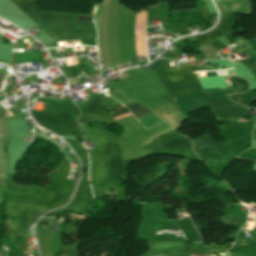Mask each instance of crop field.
I'll use <instances>...</instances> for the list:
<instances>
[{"instance_id": "crop-field-5", "label": "crop field", "mask_w": 256, "mask_h": 256, "mask_svg": "<svg viewBox=\"0 0 256 256\" xmlns=\"http://www.w3.org/2000/svg\"><path fill=\"white\" fill-rule=\"evenodd\" d=\"M121 105H122V104H121ZM121 105L112 108V109L115 111V112H114L115 114H113L112 117L118 116V115H121V114H125V113H129V112H130V111H128L125 107H122ZM127 116H131V113L125 114V115H121V116H118V117H114V120L120 119V118H124V117H127Z\"/></svg>"}, {"instance_id": "crop-field-4", "label": "crop field", "mask_w": 256, "mask_h": 256, "mask_svg": "<svg viewBox=\"0 0 256 256\" xmlns=\"http://www.w3.org/2000/svg\"><path fill=\"white\" fill-rule=\"evenodd\" d=\"M225 11L248 12L251 13L252 7L247 0H216Z\"/></svg>"}, {"instance_id": "crop-field-1", "label": "crop field", "mask_w": 256, "mask_h": 256, "mask_svg": "<svg viewBox=\"0 0 256 256\" xmlns=\"http://www.w3.org/2000/svg\"><path fill=\"white\" fill-rule=\"evenodd\" d=\"M98 10L94 16L96 26L98 29V50L100 55V63H104L102 57V47H101V32H100V14H101V5L97 7ZM145 23H146V10L136 13L135 20V45L138 57H147V49L145 42Z\"/></svg>"}, {"instance_id": "crop-field-8", "label": "crop field", "mask_w": 256, "mask_h": 256, "mask_svg": "<svg viewBox=\"0 0 256 256\" xmlns=\"http://www.w3.org/2000/svg\"><path fill=\"white\" fill-rule=\"evenodd\" d=\"M191 256H201V255H194V254H191Z\"/></svg>"}, {"instance_id": "crop-field-3", "label": "crop field", "mask_w": 256, "mask_h": 256, "mask_svg": "<svg viewBox=\"0 0 256 256\" xmlns=\"http://www.w3.org/2000/svg\"><path fill=\"white\" fill-rule=\"evenodd\" d=\"M152 111L156 113L160 118L167 121L175 130L180 126L182 122V116L169 103L159 106Z\"/></svg>"}, {"instance_id": "crop-field-2", "label": "crop field", "mask_w": 256, "mask_h": 256, "mask_svg": "<svg viewBox=\"0 0 256 256\" xmlns=\"http://www.w3.org/2000/svg\"><path fill=\"white\" fill-rule=\"evenodd\" d=\"M131 113L134 115V117L137 119L151 111L147 110L146 108L142 107L140 104L138 103H132L128 106H126ZM146 129V131L164 123V121H162L159 117H157L155 114H153L152 112L137 119Z\"/></svg>"}, {"instance_id": "crop-field-6", "label": "crop field", "mask_w": 256, "mask_h": 256, "mask_svg": "<svg viewBox=\"0 0 256 256\" xmlns=\"http://www.w3.org/2000/svg\"><path fill=\"white\" fill-rule=\"evenodd\" d=\"M232 90H235V89H232V87H228L226 89L216 88V89H208L204 91L206 94H209V93H217V92L232 91Z\"/></svg>"}, {"instance_id": "crop-field-7", "label": "crop field", "mask_w": 256, "mask_h": 256, "mask_svg": "<svg viewBox=\"0 0 256 256\" xmlns=\"http://www.w3.org/2000/svg\"><path fill=\"white\" fill-rule=\"evenodd\" d=\"M5 178H6V176H1L0 175V185H4L5 186Z\"/></svg>"}]
</instances>
